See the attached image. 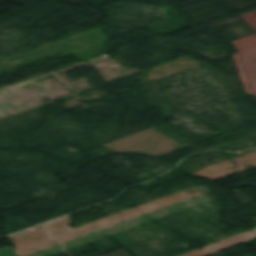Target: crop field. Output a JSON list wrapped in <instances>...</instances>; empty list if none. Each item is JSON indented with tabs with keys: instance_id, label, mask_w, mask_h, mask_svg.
<instances>
[{
	"instance_id": "crop-field-1",
	"label": "crop field",
	"mask_w": 256,
	"mask_h": 256,
	"mask_svg": "<svg viewBox=\"0 0 256 256\" xmlns=\"http://www.w3.org/2000/svg\"><path fill=\"white\" fill-rule=\"evenodd\" d=\"M133 142L135 144H132ZM105 145L120 153L132 152L154 157L184 148L167 136L152 130Z\"/></svg>"
}]
</instances>
